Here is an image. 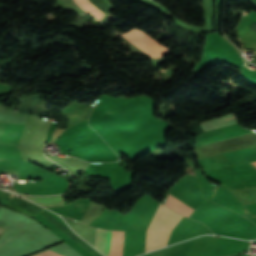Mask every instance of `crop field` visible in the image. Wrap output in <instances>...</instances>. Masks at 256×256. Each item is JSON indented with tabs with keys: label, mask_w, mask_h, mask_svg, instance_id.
Returning <instances> with one entry per match:
<instances>
[{
	"label": "crop field",
	"mask_w": 256,
	"mask_h": 256,
	"mask_svg": "<svg viewBox=\"0 0 256 256\" xmlns=\"http://www.w3.org/2000/svg\"><path fill=\"white\" fill-rule=\"evenodd\" d=\"M181 218L182 216L160 204L147 230L145 253L165 247L171 230Z\"/></svg>",
	"instance_id": "1"
},
{
	"label": "crop field",
	"mask_w": 256,
	"mask_h": 256,
	"mask_svg": "<svg viewBox=\"0 0 256 256\" xmlns=\"http://www.w3.org/2000/svg\"><path fill=\"white\" fill-rule=\"evenodd\" d=\"M112 230L97 228L95 248L105 256H109L112 240ZM124 231H114L110 256H122Z\"/></svg>",
	"instance_id": "2"
},
{
	"label": "crop field",
	"mask_w": 256,
	"mask_h": 256,
	"mask_svg": "<svg viewBox=\"0 0 256 256\" xmlns=\"http://www.w3.org/2000/svg\"><path fill=\"white\" fill-rule=\"evenodd\" d=\"M122 36L153 58L162 57L168 50L166 47L158 44L152 38L136 29Z\"/></svg>",
	"instance_id": "3"
},
{
	"label": "crop field",
	"mask_w": 256,
	"mask_h": 256,
	"mask_svg": "<svg viewBox=\"0 0 256 256\" xmlns=\"http://www.w3.org/2000/svg\"><path fill=\"white\" fill-rule=\"evenodd\" d=\"M42 215L45 216L49 221H51L55 226H57L61 231L67 234L70 238H72L75 242L81 245L84 249H86L90 254H92L93 256H102L90 246H88L86 243H84L80 238L74 235L60 217L48 211H45Z\"/></svg>",
	"instance_id": "4"
},
{
	"label": "crop field",
	"mask_w": 256,
	"mask_h": 256,
	"mask_svg": "<svg viewBox=\"0 0 256 256\" xmlns=\"http://www.w3.org/2000/svg\"><path fill=\"white\" fill-rule=\"evenodd\" d=\"M26 160L22 157L19 148L14 145L0 144V161Z\"/></svg>",
	"instance_id": "5"
},
{
	"label": "crop field",
	"mask_w": 256,
	"mask_h": 256,
	"mask_svg": "<svg viewBox=\"0 0 256 256\" xmlns=\"http://www.w3.org/2000/svg\"><path fill=\"white\" fill-rule=\"evenodd\" d=\"M164 205L167 206L168 208H170L180 214L186 215L188 217L194 210L170 194H169Z\"/></svg>",
	"instance_id": "6"
},
{
	"label": "crop field",
	"mask_w": 256,
	"mask_h": 256,
	"mask_svg": "<svg viewBox=\"0 0 256 256\" xmlns=\"http://www.w3.org/2000/svg\"><path fill=\"white\" fill-rule=\"evenodd\" d=\"M50 250H52L55 253H59V254L65 255V256H81L66 243L59 245L55 248H52ZM50 250H48L42 254L36 255V256H62V255L55 254V253L51 252Z\"/></svg>",
	"instance_id": "7"
},
{
	"label": "crop field",
	"mask_w": 256,
	"mask_h": 256,
	"mask_svg": "<svg viewBox=\"0 0 256 256\" xmlns=\"http://www.w3.org/2000/svg\"><path fill=\"white\" fill-rule=\"evenodd\" d=\"M47 208L64 207L65 201L62 196L53 198H29Z\"/></svg>",
	"instance_id": "8"
},
{
	"label": "crop field",
	"mask_w": 256,
	"mask_h": 256,
	"mask_svg": "<svg viewBox=\"0 0 256 256\" xmlns=\"http://www.w3.org/2000/svg\"><path fill=\"white\" fill-rule=\"evenodd\" d=\"M79 6L96 16L98 19L101 20L103 16V12L95 8L88 0H74ZM95 17V18H96Z\"/></svg>",
	"instance_id": "9"
},
{
	"label": "crop field",
	"mask_w": 256,
	"mask_h": 256,
	"mask_svg": "<svg viewBox=\"0 0 256 256\" xmlns=\"http://www.w3.org/2000/svg\"><path fill=\"white\" fill-rule=\"evenodd\" d=\"M233 118V117H232ZM227 119H230V118H227ZM227 119H225V120H227ZM235 118H233V119H230V120H234ZM230 120H227V121H230Z\"/></svg>",
	"instance_id": "10"
},
{
	"label": "crop field",
	"mask_w": 256,
	"mask_h": 256,
	"mask_svg": "<svg viewBox=\"0 0 256 256\" xmlns=\"http://www.w3.org/2000/svg\"><path fill=\"white\" fill-rule=\"evenodd\" d=\"M2 230H3V228H0V233H1ZM4 230H5V229H4ZM4 230H3V231H4Z\"/></svg>",
	"instance_id": "11"
}]
</instances>
